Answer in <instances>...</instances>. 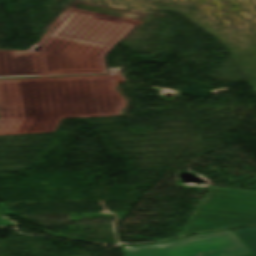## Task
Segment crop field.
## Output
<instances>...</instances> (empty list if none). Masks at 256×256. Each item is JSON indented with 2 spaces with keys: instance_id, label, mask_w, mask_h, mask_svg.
I'll return each mask as SVG.
<instances>
[{
  "instance_id": "obj_3",
  "label": "crop field",
  "mask_w": 256,
  "mask_h": 256,
  "mask_svg": "<svg viewBox=\"0 0 256 256\" xmlns=\"http://www.w3.org/2000/svg\"><path fill=\"white\" fill-rule=\"evenodd\" d=\"M216 190H217V189L213 188V189L210 191V193L205 197V199L201 202V204H202L203 202H205L210 196H212V195L215 193Z\"/></svg>"
},
{
  "instance_id": "obj_4",
  "label": "crop field",
  "mask_w": 256,
  "mask_h": 256,
  "mask_svg": "<svg viewBox=\"0 0 256 256\" xmlns=\"http://www.w3.org/2000/svg\"><path fill=\"white\" fill-rule=\"evenodd\" d=\"M250 256H253V255H250Z\"/></svg>"
},
{
  "instance_id": "obj_2",
  "label": "crop field",
  "mask_w": 256,
  "mask_h": 256,
  "mask_svg": "<svg viewBox=\"0 0 256 256\" xmlns=\"http://www.w3.org/2000/svg\"><path fill=\"white\" fill-rule=\"evenodd\" d=\"M256 256V227L233 230Z\"/></svg>"
},
{
  "instance_id": "obj_1",
  "label": "crop field",
  "mask_w": 256,
  "mask_h": 256,
  "mask_svg": "<svg viewBox=\"0 0 256 256\" xmlns=\"http://www.w3.org/2000/svg\"><path fill=\"white\" fill-rule=\"evenodd\" d=\"M121 247L124 256H245L251 254L231 230L197 234L160 244Z\"/></svg>"
}]
</instances>
